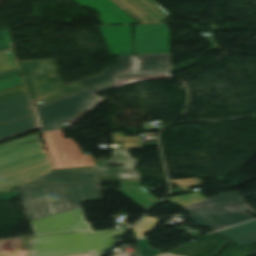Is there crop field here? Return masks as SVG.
<instances>
[{
	"label": "crop field",
	"instance_id": "obj_1",
	"mask_svg": "<svg viewBox=\"0 0 256 256\" xmlns=\"http://www.w3.org/2000/svg\"><path fill=\"white\" fill-rule=\"evenodd\" d=\"M35 240L29 256H63L89 253L92 256L103 255L105 247L112 246L121 230L93 232L87 225L82 208L72 209L60 214L30 222Z\"/></svg>",
	"mask_w": 256,
	"mask_h": 256
},
{
	"label": "crop field",
	"instance_id": "obj_2",
	"mask_svg": "<svg viewBox=\"0 0 256 256\" xmlns=\"http://www.w3.org/2000/svg\"><path fill=\"white\" fill-rule=\"evenodd\" d=\"M40 134L0 145V191L7 192L52 170Z\"/></svg>",
	"mask_w": 256,
	"mask_h": 256
},
{
	"label": "crop field",
	"instance_id": "obj_3",
	"mask_svg": "<svg viewBox=\"0 0 256 256\" xmlns=\"http://www.w3.org/2000/svg\"><path fill=\"white\" fill-rule=\"evenodd\" d=\"M98 183L20 189L29 220H36L102 200Z\"/></svg>",
	"mask_w": 256,
	"mask_h": 256
},
{
	"label": "crop field",
	"instance_id": "obj_4",
	"mask_svg": "<svg viewBox=\"0 0 256 256\" xmlns=\"http://www.w3.org/2000/svg\"><path fill=\"white\" fill-rule=\"evenodd\" d=\"M168 73H170V71L124 76L111 82L85 89L59 100L43 104L36 108L42 128L43 130L63 128L60 126V123L79 117L77 115L79 113L92 110L89 106L95 104L91 101L96 98L95 94L112 89V85L116 82H120L126 78L154 76Z\"/></svg>",
	"mask_w": 256,
	"mask_h": 256
},
{
	"label": "crop field",
	"instance_id": "obj_5",
	"mask_svg": "<svg viewBox=\"0 0 256 256\" xmlns=\"http://www.w3.org/2000/svg\"><path fill=\"white\" fill-rule=\"evenodd\" d=\"M23 72L26 85L33 103H44L71 92L84 89L83 86L74 83L63 87L55 59L18 61ZM40 71L41 74H34Z\"/></svg>",
	"mask_w": 256,
	"mask_h": 256
},
{
	"label": "crop field",
	"instance_id": "obj_6",
	"mask_svg": "<svg viewBox=\"0 0 256 256\" xmlns=\"http://www.w3.org/2000/svg\"><path fill=\"white\" fill-rule=\"evenodd\" d=\"M237 192L218 194L186 207L192 214L188 217L200 228L218 230L253 219L245 213L231 212L225 207L245 205ZM185 209V210H186Z\"/></svg>",
	"mask_w": 256,
	"mask_h": 256
},
{
	"label": "crop field",
	"instance_id": "obj_7",
	"mask_svg": "<svg viewBox=\"0 0 256 256\" xmlns=\"http://www.w3.org/2000/svg\"><path fill=\"white\" fill-rule=\"evenodd\" d=\"M37 128L26 93L0 101V140Z\"/></svg>",
	"mask_w": 256,
	"mask_h": 256
},
{
	"label": "crop field",
	"instance_id": "obj_8",
	"mask_svg": "<svg viewBox=\"0 0 256 256\" xmlns=\"http://www.w3.org/2000/svg\"><path fill=\"white\" fill-rule=\"evenodd\" d=\"M170 69L169 54L119 56V64L103 70L104 74L77 82L85 88L125 74Z\"/></svg>",
	"mask_w": 256,
	"mask_h": 256
},
{
	"label": "crop field",
	"instance_id": "obj_9",
	"mask_svg": "<svg viewBox=\"0 0 256 256\" xmlns=\"http://www.w3.org/2000/svg\"><path fill=\"white\" fill-rule=\"evenodd\" d=\"M53 169L94 166L91 157L84 156L71 139H64L62 130L43 134Z\"/></svg>",
	"mask_w": 256,
	"mask_h": 256
},
{
	"label": "crop field",
	"instance_id": "obj_10",
	"mask_svg": "<svg viewBox=\"0 0 256 256\" xmlns=\"http://www.w3.org/2000/svg\"><path fill=\"white\" fill-rule=\"evenodd\" d=\"M135 55L169 53V27L134 25Z\"/></svg>",
	"mask_w": 256,
	"mask_h": 256
},
{
	"label": "crop field",
	"instance_id": "obj_11",
	"mask_svg": "<svg viewBox=\"0 0 256 256\" xmlns=\"http://www.w3.org/2000/svg\"><path fill=\"white\" fill-rule=\"evenodd\" d=\"M97 181L93 167L60 169L51 171L21 186V188L90 183Z\"/></svg>",
	"mask_w": 256,
	"mask_h": 256
},
{
	"label": "crop field",
	"instance_id": "obj_12",
	"mask_svg": "<svg viewBox=\"0 0 256 256\" xmlns=\"http://www.w3.org/2000/svg\"><path fill=\"white\" fill-rule=\"evenodd\" d=\"M139 23L164 22L167 12L153 0H114Z\"/></svg>",
	"mask_w": 256,
	"mask_h": 256
},
{
	"label": "crop field",
	"instance_id": "obj_13",
	"mask_svg": "<svg viewBox=\"0 0 256 256\" xmlns=\"http://www.w3.org/2000/svg\"><path fill=\"white\" fill-rule=\"evenodd\" d=\"M99 27L112 56L133 55L132 25Z\"/></svg>",
	"mask_w": 256,
	"mask_h": 256
},
{
	"label": "crop field",
	"instance_id": "obj_14",
	"mask_svg": "<svg viewBox=\"0 0 256 256\" xmlns=\"http://www.w3.org/2000/svg\"><path fill=\"white\" fill-rule=\"evenodd\" d=\"M83 8L90 6L103 25L137 23L112 0H75Z\"/></svg>",
	"mask_w": 256,
	"mask_h": 256
},
{
	"label": "crop field",
	"instance_id": "obj_15",
	"mask_svg": "<svg viewBox=\"0 0 256 256\" xmlns=\"http://www.w3.org/2000/svg\"><path fill=\"white\" fill-rule=\"evenodd\" d=\"M112 157L108 161H99L97 166H94V170L97 175L115 174L118 179H131L140 178L138 171H134L136 159L130 158L128 150L113 151ZM106 163L124 164L118 167H105Z\"/></svg>",
	"mask_w": 256,
	"mask_h": 256
},
{
	"label": "crop field",
	"instance_id": "obj_16",
	"mask_svg": "<svg viewBox=\"0 0 256 256\" xmlns=\"http://www.w3.org/2000/svg\"><path fill=\"white\" fill-rule=\"evenodd\" d=\"M119 182L122 188H119L118 190H120L146 211L153 204L160 201L148 191L140 187V180H125Z\"/></svg>",
	"mask_w": 256,
	"mask_h": 256
},
{
	"label": "crop field",
	"instance_id": "obj_17",
	"mask_svg": "<svg viewBox=\"0 0 256 256\" xmlns=\"http://www.w3.org/2000/svg\"><path fill=\"white\" fill-rule=\"evenodd\" d=\"M218 232L232 241L256 233V220Z\"/></svg>",
	"mask_w": 256,
	"mask_h": 256
},
{
	"label": "crop field",
	"instance_id": "obj_18",
	"mask_svg": "<svg viewBox=\"0 0 256 256\" xmlns=\"http://www.w3.org/2000/svg\"><path fill=\"white\" fill-rule=\"evenodd\" d=\"M19 73L18 68L0 73V92L22 85L21 76H17Z\"/></svg>",
	"mask_w": 256,
	"mask_h": 256
},
{
	"label": "crop field",
	"instance_id": "obj_19",
	"mask_svg": "<svg viewBox=\"0 0 256 256\" xmlns=\"http://www.w3.org/2000/svg\"><path fill=\"white\" fill-rule=\"evenodd\" d=\"M201 199H203V197L198 192H195L193 194L186 195V196L167 198L164 201H171L175 204H178V205L184 207V206L190 205L196 201H199Z\"/></svg>",
	"mask_w": 256,
	"mask_h": 256
},
{
	"label": "crop field",
	"instance_id": "obj_20",
	"mask_svg": "<svg viewBox=\"0 0 256 256\" xmlns=\"http://www.w3.org/2000/svg\"><path fill=\"white\" fill-rule=\"evenodd\" d=\"M11 54H6V52L0 53V72L17 68V63L13 51Z\"/></svg>",
	"mask_w": 256,
	"mask_h": 256
},
{
	"label": "crop field",
	"instance_id": "obj_21",
	"mask_svg": "<svg viewBox=\"0 0 256 256\" xmlns=\"http://www.w3.org/2000/svg\"><path fill=\"white\" fill-rule=\"evenodd\" d=\"M140 256H159L162 253L159 250L150 249L146 239L137 240Z\"/></svg>",
	"mask_w": 256,
	"mask_h": 256
},
{
	"label": "crop field",
	"instance_id": "obj_22",
	"mask_svg": "<svg viewBox=\"0 0 256 256\" xmlns=\"http://www.w3.org/2000/svg\"><path fill=\"white\" fill-rule=\"evenodd\" d=\"M171 183L176 184L183 190H189L191 186L201 185V181L198 178L186 179V180H170Z\"/></svg>",
	"mask_w": 256,
	"mask_h": 256
},
{
	"label": "crop field",
	"instance_id": "obj_23",
	"mask_svg": "<svg viewBox=\"0 0 256 256\" xmlns=\"http://www.w3.org/2000/svg\"><path fill=\"white\" fill-rule=\"evenodd\" d=\"M25 92H26L25 86L22 85V86H19V87L1 92L0 93V100L8 98V97L15 96V95H18V94H22V93H25Z\"/></svg>",
	"mask_w": 256,
	"mask_h": 256
},
{
	"label": "crop field",
	"instance_id": "obj_24",
	"mask_svg": "<svg viewBox=\"0 0 256 256\" xmlns=\"http://www.w3.org/2000/svg\"><path fill=\"white\" fill-rule=\"evenodd\" d=\"M11 42L8 30L0 32V51L10 49Z\"/></svg>",
	"mask_w": 256,
	"mask_h": 256
},
{
	"label": "crop field",
	"instance_id": "obj_25",
	"mask_svg": "<svg viewBox=\"0 0 256 256\" xmlns=\"http://www.w3.org/2000/svg\"><path fill=\"white\" fill-rule=\"evenodd\" d=\"M29 252H30V249L9 250V251L0 253V256H28Z\"/></svg>",
	"mask_w": 256,
	"mask_h": 256
},
{
	"label": "crop field",
	"instance_id": "obj_26",
	"mask_svg": "<svg viewBox=\"0 0 256 256\" xmlns=\"http://www.w3.org/2000/svg\"><path fill=\"white\" fill-rule=\"evenodd\" d=\"M233 243L239 245V246H245V245H249V244H253L256 243V234L242 238V239H238L235 241H232Z\"/></svg>",
	"mask_w": 256,
	"mask_h": 256
},
{
	"label": "crop field",
	"instance_id": "obj_27",
	"mask_svg": "<svg viewBox=\"0 0 256 256\" xmlns=\"http://www.w3.org/2000/svg\"><path fill=\"white\" fill-rule=\"evenodd\" d=\"M126 140H141V137L139 136L121 137L120 133L118 132L112 133V141H126Z\"/></svg>",
	"mask_w": 256,
	"mask_h": 256
},
{
	"label": "crop field",
	"instance_id": "obj_28",
	"mask_svg": "<svg viewBox=\"0 0 256 256\" xmlns=\"http://www.w3.org/2000/svg\"><path fill=\"white\" fill-rule=\"evenodd\" d=\"M19 195L18 191L17 190H13L11 192H8V193H2L0 192V199L1 200H9L15 196Z\"/></svg>",
	"mask_w": 256,
	"mask_h": 256
},
{
	"label": "crop field",
	"instance_id": "obj_29",
	"mask_svg": "<svg viewBox=\"0 0 256 256\" xmlns=\"http://www.w3.org/2000/svg\"><path fill=\"white\" fill-rule=\"evenodd\" d=\"M121 144H122L121 148H143L142 142H125Z\"/></svg>",
	"mask_w": 256,
	"mask_h": 256
},
{
	"label": "crop field",
	"instance_id": "obj_30",
	"mask_svg": "<svg viewBox=\"0 0 256 256\" xmlns=\"http://www.w3.org/2000/svg\"><path fill=\"white\" fill-rule=\"evenodd\" d=\"M228 209L231 210V211L242 212L241 210H239L236 207H231V208H228Z\"/></svg>",
	"mask_w": 256,
	"mask_h": 256
},
{
	"label": "crop field",
	"instance_id": "obj_31",
	"mask_svg": "<svg viewBox=\"0 0 256 256\" xmlns=\"http://www.w3.org/2000/svg\"><path fill=\"white\" fill-rule=\"evenodd\" d=\"M73 256H91L89 254H83V255H73Z\"/></svg>",
	"mask_w": 256,
	"mask_h": 256
},
{
	"label": "crop field",
	"instance_id": "obj_32",
	"mask_svg": "<svg viewBox=\"0 0 256 256\" xmlns=\"http://www.w3.org/2000/svg\"><path fill=\"white\" fill-rule=\"evenodd\" d=\"M161 256H167V255H161Z\"/></svg>",
	"mask_w": 256,
	"mask_h": 256
}]
</instances>
